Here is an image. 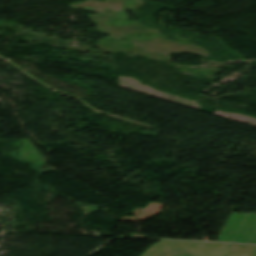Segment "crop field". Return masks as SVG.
Returning <instances> with one entry per match:
<instances>
[{
    "label": "crop field",
    "mask_w": 256,
    "mask_h": 256,
    "mask_svg": "<svg viewBox=\"0 0 256 256\" xmlns=\"http://www.w3.org/2000/svg\"><path fill=\"white\" fill-rule=\"evenodd\" d=\"M140 256H256V246L160 241Z\"/></svg>",
    "instance_id": "crop-field-1"
}]
</instances>
